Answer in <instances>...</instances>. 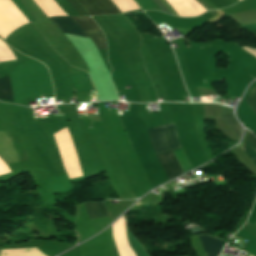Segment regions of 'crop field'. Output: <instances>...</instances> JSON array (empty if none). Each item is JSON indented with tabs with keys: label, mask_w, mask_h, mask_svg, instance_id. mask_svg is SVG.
Segmentation results:
<instances>
[{
	"label": "crop field",
	"mask_w": 256,
	"mask_h": 256,
	"mask_svg": "<svg viewBox=\"0 0 256 256\" xmlns=\"http://www.w3.org/2000/svg\"><path fill=\"white\" fill-rule=\"evenodd\" d=\"M68 4L77 12L79 16H89L88 13L76 0H66Z\"/></svg>",
	"instance_id": "13"
},
{
	"label": "crop field",
	"mask_w": 256,
	"mask_h": 256,
	"mask_svg": "<svg viewBox=\"0 0 256 256\" xmlns=\"http://www.w3.org/2000/svg\"><path fill=\"white\" fill-rule=\"evenodd\" d=\"M50 19L63 33L88 38L81 27L70 17H54Z\"/></svg>",
	"instance_id": "5"
},
{
	"label": "crop field",
	"mask_w": 256,
	"mask_h": 256,
	"mask_svg": "<svg viewBox=\"0 0 256 256\" xmlns=\"http://www.w3.org/2000/svg\"><path fill=\"white\" fill-rule=\"evenodd\" d=\"M87 33L97 49L106 50V39L91 17H71Z\"/></svg>",
	"instance_id": "2"
},
{
	"label": "crop field",
	"mask_w": 256,
	"mask_h": 256,
	"mask_svg": "<svg viewBox=\"0 0 256 256\" xmlns=\"http://www.w3.org/2000/svg\"><path fill=\"white\" fill-rule=\"evenodd\" d=\"M127 234L130 240V244L133 250V253L135 256H147L145 250L143 249V247L141 246L140 243H138L129 233V230L127 228Z\"/></svg>",
	"instance_id": "11"
},
{
	"label": "crop field",
	"mask_w": 256,
	"mask_h": 256,
	"mask_svg": "<svg viewBox=\"0 0 256 256\" xmlns=\"http://www.w3.org/2000/svg\"><path fill=\"white\" fill-rule=\"evenodd\" d=\"M0 99L12 101V88L8 75L0 78Z\"/></svg>",
	"instance_id": "9"
},
{
	"label": "crop field",
	"mask_w": 256,
	"mask_h": 256,
	"mask_svg": "<svg viewBox=\"0 0 256 256\" xmlns=\"http://www.w3.org/2000/svg\"><path fill=\"white\" fill-rule=\"evenodd\" d=\"M169 180L183 174V171L172 151L157 155Z\"/></svg>",
	"instance_id": "4"
},
{
	"label": "crop field",
	"mask_w": 256,
	"mask_h": 256,
	"mask_svg": "<svg viewBox=\"0 0 256 256\" xmlns=\"http://www.w3.org/2000/svg\"><path fill=\"white\" fill-rule=\"evenodd\" d=\"M90 15L120 13L110 0H77Z\"/></svg>",
	"instance_id": "3"
},
{
	"label": "crop field",
	"mask_w": 256,
	"mask_h": 256,
	"mask_svg": "<svg viewBox=\"0 0 256 256\" xmlns=\"http://www.w3.org/2000/svg\"><path fill=\"white\" fill-rule=\"evenodd\" d=\"M158 6L165 12L169 13L168 10L162 5V3L159 0H154Z\"/></svg>",
	"instance_id": "16"
},
{
	"label": "crop field",
	"mask_w": 256,
	"mask_h": 256,
	"mask_svg": "<svg viewBox=\"0 0 256 256\" xmlns=\"http://www.w3.org/2000/svg\"><path fill=\"white\" fill-rule=\"evenodd\" d=\"M13 2L16 4V6L21 10V12L27 17V19L32 22L36 20L31 13L24 7V5L21 3L20 0H13Z\"/></svg>",
	"instance_id": "14"
},
{
	"label": "crop field",
	"mask_w": 256,
	"mask_h": 256,
	"mask_svg": "<svg viewBox=\"0 0 256 256\" xmlns=\"http://www.w3.org/2000/svg\"><path fill=\"white\" fill-rule=\"evenodd\" d=\"M175 156L177 157V159L179 160L184 172H188L190 170H192L186 156L184 155L182 149H179V150H175L173 151Z\"/></svg>",
	"instance_id": "12"
},
{
	"label": "crop field",
	"mask_w": 256,
	"mask_h": 256,
	"mask_svg": "<svg viewBox=\"0 0 256 256\" xmlns=\"http://www.w3.org/2000/svg\"><path fill=\"white\" fill-rule=\"evenodd\" d=\"M224 119L226 120L234 134L237 136V138L240 140L242 135V128L237 120L233 117L232 114L224 116Z\"/></svg>",
	"instance_id": "10"
},
{
	"label": "crop field",
	"mask_w": 256,
	"mask_h": 256,
	"mask_svg": "<svg viewBox=\"0 0 256 256\" xmlns=\"http://www.w3.org/2000/svg\"><path fill=\"white\" fill-rule=\"evenodd\" d=\"M246 101L253 109V111L256 113V86L253 88L252 92L250 93Z\"/></svg>",
	"instance_id": "15"
},
{
	"label": "crop field",
	"mask_w": 256,
	"mask_h": 256,
	"mask_svg": "<svg viewBox=\"0 0 256 256\" xmlns=\"http://www.w3.org/2000/svg\"><path fill=\"white\" fill-rule=\"evenodd\" d=\"M85 205L90 219L107 216L102 202H85Z\"/></svg>",
	"instance_id": "8"
},
{
	"label": "crop field",
	"mask_w": 256,
	"mask_h": 256,
	"mask_svg": "<svg viewBox=\"0 0 256 256\" xmlns=\"http://www.w3.org/2000/svg\"><path fill=\"white\" fill-rule=\"evenodd\" d=\"M76 91L95 90L88 74H69Z\"/></svg>",
	"instance_id": "6"
},
{
	"label": "crop field",
	"mask_w": 256,
	"mask_h": 256,
	"mask_svg": "<svg viewBox=\"0 0 256 256\" xmlns=\"http://www.w3.org/2000/svg\"><path fill=\"white\" fill-rule=\"evenodd\" d=\"M156 154L181 148L173 122L146 128Z\"/></svg>",
	"instance_id": "1"
},
{
	"label": "crop field",
	"mask_w": 256,
	"mask_h": 256,
	"mask_svg": "<svg viewBox=\"0 0 256 256\" xmlns=\"http://www.w3.org/2000/svg\"><path fill=\"white\" fill-rule=\"evenodd\" d=\"M240 148L256 165V138L250 132L247 131V138Z\"/></svg>",
	"instance_id": "7"
}]
</instances>
